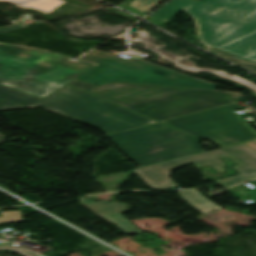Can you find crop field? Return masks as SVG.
Segmentation results:
<instances>
[{
	"label": "crop field",
	"instance_id": "obj_1",
	"mask_svg": "<svg viewBox=\"0 0 256 256\" xmlns=\"http://www.w3.org/2000/svg\"><path fill=\"white\" fill-rule=\"evenodd\" d=\"M69 84L158 121L243 100L239 92L122 82L95 86L78 79Z\"/></svg>",
	"mask_w": 256,
	"mask_h": 256
},
{
	"label": "crop field",
	"instance_id": "obj_2",
	"mask_svg": "<svg viewBox=\"0 0 256 256\" xmlns=\"http://www.w3.org/2000/svg\"><path fill=\"white\" fill-rule=\"evenodd\" d=\"M0 42V84L44 98L96 64Z\"/></svg>",
	"mask_w": 256,
	"mask_h": 256
},
{
	"label": "crop field",
	"instance_id": "obj_3",
	"mask_svg": "<svg viewBox=\"0 0 256 256\" xmlns=\"http://www.w3.org/2000/svg\"><path fill=\"white\" fill-rule=\"evenodd\" d=\"M186 6L206 47H214L256 24V0H171L152 15L165 21Z\"/></svg>",
	"mask_w": 256,
	"mask_h": 256
},
{
	"label": "crop field",
	"instance_id": "obj_4",
	"mask_svg": "<svg viewBox=\"0 0 256 256\" xmlns=\"http://www.w3.org/2000/svg\"><path fill=\"white\" fill-rule=\"evenodd\" d=\"M82 60L100 64L78 78L95 85L122 81L210 90L217 86L139 59H126L96 50Z\"/></svg>",
	"mask_w": 256,
	"mask_h": 256
},
{
	"label": "crop field",
	"instance_id": "obj_5",
	"mask_svg": "<svg viewBox=\"0 0 256 256\" xmlns=\"http://www.w3.org/2000/svg\"><path fill=\"white\" fill-rule=\"evenodd\" d=\"M34 105L98 128L105 134L155 122L69 86Z\"/></svg>",
	"mask_w": 256,
	"mask_h": 256
},
{
	"label": "crop field",
	"instance_id": "obj_6",
	"mask_svg": "<svg viewBox=\"0 0 256 256\" xmlns=\"http://www.w3.org/2000/svg\"><path fill=\"white\" fill-rule=\"evenodd\" d=\"M228 156L236 166L233 169L239 173L236 176L214 181L225 188L252 178H256V151L241 143L184 158L168 160L133 170L152 190H163L177 186L170 179L172 170L193 164L197 167L210 165L217 172H225L226 166L219 158Z\"/></svg>",
	"mask_w": 256,
	"mask_h": 256
},
{
	"label": "crop field",
	"instance_id": "obj_7",
	"mask_svg": "<svg viewBox=\"0 0 256 256\" xmlns=\"http://www.w3.org/2000/svg\"><path fill=\"white\" fill-rule=\"evenodd\" d=\"M141 166L204 152L199 140L159 123L108 135Z\"/></svg>",
	"mask_w": 256,
	"mask_h": 256
},
{
	"label": "crop field",
	"instance_id": "obj_8",
	"mask_svg": "<svg viewBox=\"0 0 256 256\" xmlns=\"http://www.w3.org/2000/svg\"><path fill=\"white\" fill-rule=\"evenodd\" d=\"M238 107V103L231 104L162 123L201 139H210L220 147L255 139L232 112Z\"/></svg>",
	"mask_w": 256,
	"mask_h": 256
},
{
	"label": "crop field",
	"instance_id": "obj_9",
	"mask_svg": "<svg viewBox=\"0 0 256 256\" xmlns=\"http://www.w3.org/2000/svg\"><path fill=\"white\" fill-rule=\"evenodd\" d=\"M80 204L86 208H90L91 212L95 215L105 218L109 223L115 224L118 228L129 235L141 233V231L125 219L120 212L127 210L124 203H118L116 201H97L94 202L90 198H80Z\"/></svg>",
	"mask_w": 256,
	"mask_h": 256
},
{
	"label": "crop field",
	"instance_id": "obj_10",
	"mask_svg": "<svg viewBox=\"0 0 256 256\" xmlns=\"http://www.w3.org/2000/svg\"><path fill=\"white\" fill-rule=\"evenodd\" d=\"M215 48L256 61V25Z\"/></svg>",
	"mask_w": 256,
	"mask_h": 256
},
{
	"label": "crop field",
	"instance_id": "obj_11",
	"mask_svg": "<svg viewBox=\"0 0 256 256\" xmlns=\"http://www.w3.org/2000/svg\"><path fill=\"white\" fill-rule=\"evenodd\" d=\"M39 100L38 98L0 85V111L36 108L32 105ZM3 141L4 137L0 134V143H3Z\"/></svg>",
	"mask_w": 256,
	"mask_h": 256
},
{
	"label": "crop field",
	"instance_id": "obj_12",
	"mask_svg": "<svg viewBox=\"0 0 256 256\" xmlns=\"http://www.w3.org/2000/svg\"><path fill=\"white\" fill-rule=\"evenodd\" d=\"M179 196L203 214L221 209L220 206L207 200L197 190L182 191L179 192Z\"/></svg>",
	"mask_w": 256,
	"mask_h": 256
},
{
	"label": "crop field",
	"instance_id": "obj_13",
	"mask_svg": "<svg viewBox=\"0 0 256 256\" xmlns=\"http://www.w3.org/2000/svg\"><path fill=\"white\" fill-rule=\"evenodd\" d=\"M207 48H209V49H207V50H209V51H211V52H214V53H216V54H219V55H221L223 58H225V59H227V60H230V61H232V62H234V63H236V64H238V65H240V66H243V67H245V68H247V69H249V70H251V71H253V72L256 73V62L248 61V60H246V59L237 57V56H235V55H232V54H229V53H226V52H223V51H221V50L212 48V47H210V46L207 47Z\"/></svg>",
	"mask_w": 256,
	"mask_h": 256
},
{
	"label": "crop field",
	"instance_id": "obj_14",
	"mask_svg": "<svg viewBox=\"0 0 256 256\" xmlns=\"http://www.w3.org/2000/svg\"><path fill=\"white\" fill-rule=\"evenodd\" d=\"M165 1L166 0H135L131 3V7H134L148 14L163 4Z\"/></svg>",
	"mask_w": 256,
	"mask_h": 256
},
{
	"label": "crop field",
	"instance_id": "obj_15",
	"mask_svg": "<svg viewBox=\"0 0 256 256\" xmlns=\"http://www.w3.org/2000/svg\"><path fill=\"white\" fill-rule=\"evenodd\" d=\"M19 221H23L20 211L1 212L0 225L2 223H11Z\"/></svg>",
	"mask_w": 256,
	"mask_h": 256
},
{
	"label": "crop field",
	"instance_id": "obj_16",
	"mask_svg": "<svg viewBox=\"0 0 256 256\" xmlns=\"http://www.w3.org/2000/svg\"><path fill=\"white\" fill-rule=\"evenodd\" d=\"M227 191H229V192H231V193L239 192L241 196H247V195L245 194L244 190L241 188L240 185L235 186V187L228 188Z\"/></svg>",
	"mask_w": 256,
	"mask_h": 256
},
{
	"label": "crop field",
	"instance_id": "obj_17",
	"mask_svg": "<svg viewBox=\"0 0 256 256\" xmlns=\"http://www.w3.org/2000/svg\"><path fill=\"white\" fill-rule=\"evenodd\" d=\"M23 27L24 26H21V25L2 27V28H0V33L1 32H6V31L15 30V29H19V28H23Z\"/></svg>",
	"mask_w": 256,
	"mask_h": 256
},
{
	"label": "crop field",
	"instance_id": "obj_18",
	"mask_svg": "<svg viewBox=\"0 0 256 256\" xmlns=\"http://www.w3.org/2000/svg\"><path fill=\"white\" fill-rule=\"evenodd\" d=\"M246 144L249 145L254 150H256V140L250 141V142H246Z\"/></svg>",
	"mask_w": 256,
	"mask_h": 256
},
{
	"label": "crop field",
	"instance_id": "obj_19",
	"mask_svg": "<svg viewBox=\"0 0 256 256\" xmlns=\"http://www.w3.org/2000/svg\"><path fill=\"white\" fill-rule=\"evenodd\" d=\"M248 194L252 195L253 199L256 200V190L248 191Z\"/></svg>",
	"mask_w": 256,
	"mask_h": 256
}]
</instances>
